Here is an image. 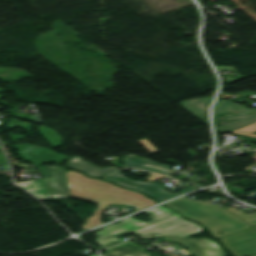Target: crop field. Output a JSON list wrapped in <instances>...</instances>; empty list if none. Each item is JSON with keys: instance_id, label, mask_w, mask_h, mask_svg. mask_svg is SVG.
Segmentation results:
<instances>
[{"instance_id": "8a807250", "label": "crop field", "mask_w": 256, "mask_h": 256, "mask_svg": "<svg viewBox=\"0 0 256 256\" xmlns=\"http://www.w3.org/2000/svg\"><path fill=\"white\" fill-rule=\"evenodd\" d=\"M151 221H140L131 217L121 220L120 223L109 225L96 232L97 242L103 247L122 242L116 237L134 233L146 240L159 236L173 240L183 245L196 256H227L218 245L206 238L192 239L184 236L200 232L203 228L198 224L183 220L175 212L162 206L145 211Z\"/></svg>"}, {"instance_id": "4a817a6b", "label": "crop field", "mask_w": 256, "mask_h": 256, "mask_svg": "<svg viewBox=\"0 0 256 256\" xmlns=\"http://www.w3.org/2000/svg\"><path fill=\"white\" fill-rule=\"evenodd\" d=\"M160 177H161L160 175H156V174L150 173L146 178H147V180H148L147 182H149V181L158 179V178H160Z\"/></svg>"}, {"instance_id": "34b2d1b8", "label": "crop field", "mask_w": 256, "mask_h": 256, "mask_svg": "<svg viewBox=\"0 0 256 256\" xmlns=\"http://www.w3.org/2000/svg\"><path fill=\"white\" fill-rule=\"evenodd\" d=\"M165 205L181 212L187 218L204 224L216 238L250 227V225L226 210L236 214L251 225H256V214L246 215L232 207L223 210L211 203L193 201L185 197H181ZM218 231H223L224 233L218 234Z\"/></svg>"}, {"instance_id": "e52e79f7", "label": "crop field", "mask_w": 256, "mask_h": 256, "mask_svg": "<svg viewBox=\"0 0 256 256\" xmlns=\"http://www.w3.org/2000/svg\"><path fill=\"white\" fill-rule=\"evenodd\" d=\"M40 169L47 197H70L63 168L45 166Z\"/></svg>"}, {"instance_id": "214f88e0", "label": "crop field", "mask_w": 256, "mask_h": 256, "mask_svg": "<svg viewBox=\"0 0 256 256\" xmlns=\"http://www.w3.org/2000/svg\"><path fill=\"white\" fill-rule=\"evenodd\" d=\"M0 161H5V159H4V157H3L2 153H1V151H0ZM0 164H7V163H0Z\"/></svg>"}, {"instance_id": "22f410ed", "label": "crop field", "mask_w": 256, "mask_h": 256, "mask_svg": "<svg viewBox=\"0 0 256 256\" xmlns=\"http://www.w3.org/2000/svg\"><path fill=\"white\" fill-rule=\"evenodd\" d=\"M36 129L50 147L62 145V137L55 130L46 126L36 127Z\"/></svg>"}, {"instance_id": "d9b57169", "label": "crop field", "mask_w": 256, "mask_h": 256, "mask_svg": "<svg viewBox=\"0 0 256 256\" xmlns=\"http://www.w3.org/2000/svg\"><path fill=\"white\" fill-rule=\"evenodd\" d=\"M30 125H32V124L12 119L5 126H6V128L18 126L20 128L27 130Z\"/></svg>"}, {"instance_id": "d8731c3e", "label": "crop field", "mask_w": 256, "mask_h": 256, "mask_svg": "<svg viewBox=\"0 0 256 256\" xmlns=\"http://www.w3.org/2000/svg\"><path fill=\"white\" fill-rule=\"evenodd\" d=\"M27 148H30V150ZM16 149L18 150L17 152L15 151ZM13 150L23 160L33 163H44V161L46 160V162L61 164L64 160L68 158V156L50 151L44 147L28 143L16 144L13 146ZM42 151L44 152L41 153Z\"/></svg>"}, {"instance_id": "d1516ede", "label": "crop field", "mask_w": 256, "mask_h": 256, "mask_svg": "<svg viewBox=\"0 0 256 256\" xmlns=\"http://www.w3.org/2000/svg\"><path fill=\"white\" fill-rule=\"evenodd\" d=\"M68 166L84 171L86 172L89 176H95V177H100L112 170H115L117 168H113V167H108V168H104V169H100L78 157L72 158L68 161L67 163Z\"/></svg>"}, {"instance_id": "28ad6ade", "label": "crop field", "mask_w": 256, "mask_h": 256, "mask_svg": "<svg viewBox=\"0 0 256 256\" xmlns=\"http://www.w3.org/2000/svg\"><path fill=\"white\" fill-rule=\"evenodd\" d=\"M102 256H151L137 245L127 242L108 249V252Z\"/></svg>"}, {"instance_id": "ac0d7876", "label": "crop field", "mask_w": 256, "mask_h": 256, "mask_svg": "<svg viewBox=\"0 0 256 256\" xmlns=\"http://www.w3.org/2000/svg\"><path fill=\"white\" fill-rule=\"evenodd\" d=\"M66 174L71 196L98 202L93 216L86 218L85 224L80 226L84 230L103 224L100 221L101 210L109 203L132 205L136 210L155 204L140 193L119 188L106 181L90 179L70 170L66 171Z\"/></svg>"}, {"instance_id": "733c2abd", "label": "crop field", "mask_w": 256, "mask_h": 256, "mask_svg": "<svg viewBox=\"0 0 256 256\" xmlns=\"http://www.w3.org/2000/svg\"><path fill=\"white\" fill-rule=\"evenodd\" d=\"M138 142H139L140 144L144 145V148H145L146 150H148L150 153L157 151V150H156L152 145H150L145 139L139 140Z\"/></svg>"}, {"instance_id": "cbeb9de0", "label": "crop field", "mask_w": 256, "mask_h": 256, "mask_svg": "<svg viewBox=\"0 0 256 256\" xmlns=\"http://www.w3.org/2000/svg\"><path fill=\"white\" fill-rule=\"evenodd\" d=\"M16 184L22 189L28 190L29 193H33V196L35 197H45L41 179L19 182Z\"/></svg>"}, {"instance_id": "5142ce71", "label": "crop field", "mask_w": 256, "mask_h": 256, "mask_svg": "<svg viewBox=\"0 0 256 256\" xmlns=\"http://www.w3.org/2000/svg\"><path fill=\"white\" fill-rule=\"evenodd\" d=\"M254 131H256V123L252 124V125H249V126H246V127H243L241 129L232 131L230 133L256 137V135L251 134Z\"/></svg>"}, {"instance_id": "dd49c442", "label": "crop field", "mask_w": 256, "mask_h": 256, "mask_svg": "<svg viewBox=\"0 0 256 256\" xmlns=\"http://www.w3.org/2000/svg\"><path fill=\"white\" fill-rule=\"evenodd\" d=\"M121 171H122V169H118L102 178H106V179L113 181L122 186H126V187H129L132 189L142 191V192L154 197L159 202L166 200L168 198L174 197L176 195H179L181 193H184L186 191L194 189L193 187H191V188H189L183 192H180L178 194H172L168 191H165V190L159 188L157 186V184H155V183H143V182H138V181H132V180L124 177L121 174Z\"/></svg>"}, {"instance_id": "dafd665d", "label": "crop field", "mask_w": 256, "mask_h": 256, "mask_svg": "<svg viewBox=\"0 0 256 256\" xmlns=\"http://www.w3.org/2000/svg\"><path fill=\"white\" fill-rule=\"evenodd\" d=\"M254 256H256V255H254Z\"/></svg>"}, {"instance_id": "bc2a9ffb", "label": "crop field", "mask_w": 256, "mask_h": 256, "mask_svg": "<svg viewBox=\"0 0 256 256\" xmlns=\"http://www.w3.org/2000/svg\"><path fill=\"white\" fill-rule=\"evenodd\" d=\"M10 139H22V135L20 134H9Z\"/></svg>"}, {"instance_id": "5a996713", "label": "crop field", "mask_w": 256, "mask_h": 256, "mask_svg": "<svg viewBox=\"0 0 256 256\" xmlns=\"http://www.w3.org/2000/svg\"><path fill=\"white\" fill-rule=\"evenodd\" d=\"M122 160L124 162V165L122 166L123 168L135 167L165 175H168L172 172L167 166L156 164L150 160L138 158L131 154L123 157Z\"/></svg>"}, {"instance_id": "f4fd0767", "label": "crop field", "mask_w": 256, "mask_h": 256, "mask_svg": "<svg viewBox=\"0 0 256 256\" xmlns=\"http://www.w3.org/2000/svg\"><path fill=\"white\" fill-rule=\"evenodd\" d=\"M234 256L256 253V226L219 239Z\"/></svg>"}, {"instance_id": "412701ff", "label": "crop field", "mask_w": 256, "mask_h": 256, "mask_svg": "<svg viewBox=\"0 0 256 256\" xmlns=\"http://www.w3.org/2000/svg\"><path fill=\"white\" fill-rule=\"evenodd\" d=\"M214 114L225 113L226 120L235 121L217 127L220 133L230 132L243 126L256 122V110H249L230 101L218 100L214 109Z\"/></svg>"}, {"instance_id": "3316defc", "label": "crop field", "mask_w": 256, "mask_h": 256, "mask_svg": "<svg viewBox=\"0 0 256 256\" xmlns=\"http://www.w3.org/2000/svg\"><path fill=\"white\" fill-rule=\"evenodd\" d=\"M213 97L181 102V106L199 118L204 123L207 121V109Z\"/></svg>"}, {"instance_id": "92a150f3", "label": "crop field", "mask_w": 256, "mask_h": 256, "mask_svg": "<svg viewBox=\"0 0 256 256\" xmlns=\"http://www.w3.org/2000/svg\"><path fill=\"white\" fill-rule=\"evenodd\" d=\"M95 256H97V255H95Z\"/></svg>"}]
</instances>
